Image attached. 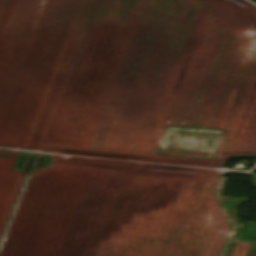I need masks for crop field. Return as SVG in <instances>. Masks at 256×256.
I'll list each match as a JSON object with an SVG mask.
<instances>
[{"label":"crop field","mask_w":256,"mask_h":256,"mask_svg":"<svg viewBox=\"0 0 256 256\" xmlns=\"http://www.w3.org/2000/svg\"><path fill=\"white\" fill-rule=\"evenodd\" d=\"M235 223L237 225V229L233 239L256 241V231L254 229V224L249 222H242L240 227L238 221H235Z\"/></svg>","instance_id":"obj_1"},{"label":"crop field","mask_w":256,"mask_h":256,"mask_svg":"<svg viewBox=\"0 0 256 256\" xmlns=\"http://www.w3.org/2000/svg\"><path fill=\"white\" fill-rule=\"evenodd\" d=\"M223 199H224L233 219L238 220L235 208L237 205H240L248 200L237 198V197H223Z\"/></svg>","instance_id":"obj_2"},{"label":"crop field","mask_w":256,"mask_h":256,"mask_svg":"<svg viewBox=\"0 0 256 256\" xmlns=\"http://www.w3.org/2000/svg\"><path fill=\"white\" fill-rule=\"evenodd\" d=\"M250 244L238 243L233 256H246Z\"/></svg>","instance_id":"obj_3"}]
</instances>
